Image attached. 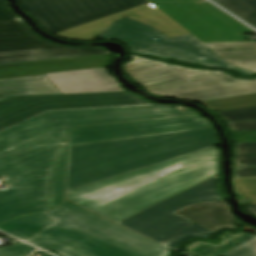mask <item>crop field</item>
I'll return each instance as SVG.
<instances>
[{
	"label": "crop field",
	"mask_w": 256,
	"mask_h": 256,
	"mask_svg": "<svg viewBox=\"0 0 256 256\" xmlns=\"http://www.w3.org/2000/svg\"><path fill=\"white\" fill-rule=\"evenodd\" d=\"M196 115L166 105L48 111L0 132V223L50 209L49 184L68 127Z\"/></svg>",
	"instance_id": "1"
},
{
	"label": "crop field",
	"mask_w": 256,
	"mask_h": 256,
	"mask_svg": "<svg viewBox=\"0 0 256 256\" xmlns=\"http://www.w3.org/2000/svg\"><path fill=\"white\" fill-rule=\"evenodd\" d=\"M218 174L217 146L69 191L68 200L119 223Z\"/></svg>",
	"instance_id": "2"
},
{
	"label": "crop field",
	"mask_w": 256,
	"mask_h": 256,
	"mask_svg": "<svg viewBox=\"0 0 256 256\" xmlns=\"http://www.w3.org/2000/svg\"><path fill=\"white\" fill-rule=\"evenodd\" d=\"M217 145L214 128L74 145L66 191Z\"/></svg>",
	"instance_id": "3"
},
{
	"label": "crop field",
	"mask_w": 256,
	"mask_h": 256,
	"mask_svg": "<svg viewBox=\"0 0 256 256\" xmlns=\"http://www.w3.org/2000/svg\"><path fill=\"white\" fill-rule=\"evenodd\" d=\"M55 222L27 242L62 256H168L169 250L69 202L46 212Z\"/></svg>",
	"instance_id": "4"
},
{
	"label": "crop field",
	"mask_w": 256,
	"mask_h": 256,
	"mask_svg": "<svg viewBox=\"0 0 256 256\" xmlns=\"http://www.w3.org/2000/svg\"><path fill=\"white\" fill-rule=\"evenodd\" d=\"M210 127L203 117L190 116L69 128L50 185L51 208L66 202L64 197L70 145Z\"/></svg>",
	"instance_id": "5"
},
{
	"label": "crop field",
	"mask_w": 256,
	"mask_h": 256,
	"mask_svg": "<svg viewBox=\"0 0 256 256\" xmlns=\"http://www.w3.org/2000/svg\"><path fill=\"white\" fill-rule=\"evenodd\" d=\"M153 27L124 18L112 23L99 36V39L118 40L137 53L163 58L170 57L180 62L197 63L244 75L254 74L246 70L235 69L215 52L206 51L208 48L191 34L169 39ZM154 38L158 40L155 41Z\"/></svg>",
	"instance_id": "6"
},
{
	"label": "crop field",
	"mask_w": 256,
	"mask_h": 256,
	"mask_svg": "<svg viewBox=\"0 0 256 256\" xmlns=\"http://www.w3.org/2000/svg\"><path fill=\"white\" fill-rule=\"evenodd\" d=\"M0 0V65L109 54L102 48L76 49L37 38Z\"/></svg>",
	"instance_id": "7"
},
{
	"label": "crop field",
	"mask_w": 256,
	"mask_h": 256,
	"mask_svg": "<svg viewBox=\"0 0 256 256\" xmlns=\"http://www.w3.org/2000/svg\"><path fill=\"white\" fill-rule=\"evenodd\" d=\"M3 99L4 102H0V131L48 110L151 104L130 92Z\"/></svg>",
	"instance_id": "8"
},
{
	"label": "crop field",
	"mask_w": 256,
	"mask_h": 256,
	"mask_svg": "<svg viewBox=\"0 0 256 256\" xmlns=\"http://www.w3.org/2000/svg\"><path fill=\"white\" fill-rule=\"evenodd\" d=\"M51 34L129 9L146 0H20Z\"/></svg>",
	"instance_id": "9"
},
{
	"label": "crop field",
	"mask_w": 256,
	"mask_h": 256,
	"mask_svg": "<svg viewBox=\"0 0 256 256\" xmlns=\"http://www.w3.org/2000/svg\"><path fill=\"white\" fill-rule=\"evenodd\" d=\"M218 179L216 176L119 224L163 244L189 223L172 212L193 203L224 200L217 190Z\"/></svg>",
	"instance_id": "10"
},
{
	"label": "crop field",
	"mask_w": 256,
	"mask_h": 256,
	"mask_svg": "<svg viewBox=\"0 0 256 256\" xmlns=\"http://www.w3.org/2000/svg\"><path fill=\"white\" fill-rule=\"evenodd\" d=\"M153 5L202 43L245 41L243 33H255L207 2Z\"/></svg>",
	"instance_id": "11"
},
{
	"label": "crop field",
	"mask_w": 256,
	"mask_h": 256,
	"mask_svg": "<svg viewBox=\"0 0 256 256\" xmlns=\"http://www.w3.org/2000/svg\"><path fill=\"white\" fill-rule=\"evenodd\" d=\"M256 93V79H236L226 73L194 78L192 82L152 92L175 99L200 102L237 95Z\"/></svg>",
	"instance_id": "12"
},
{
	"label": "crop field",
	"mask_w": 256,
	"mask_h": 256,
	"mask_svg": "<svg viewBox=\"0 0 256 256\" xmlns=\"http://www.w3.org/2000/svg\"><path fill=\"white\" fill-rule=\"evenodd\" d=\"M124 17L154 26L169 38L188 34L186 30L148 3L54 35L70 40H95L113 21Z\"/></svg>",
	"instance_id": "13"
},
{
	"label": "crop field",
	"mask_w": 256,
	"mask_h": 256,
	"mask_svg": "<svg viewBox=\"0 0 256 256\" xmlns=\"http://www.w3.org/2000/svg\"><path fill=\"white\" fill-rule=\"evenodd\" d=\"M130 56L134 58L133 61L124 64L127 74L142 84L149 92L190 82V78L222 73L188 69L178 65Z\"/></svg>",
	"instance_id": "14"
},
{
	"label": "crop field",
	"mask_w": 256,
	"mask_h": 256,
	"mask_svg": "<svg viewBox=\"0 0 256 256\" xmlns=\"http://www.w3.org/2000/svg\"><path fill=\"white\" fill-rule=\"evenodd\" d=\"M46 76L62 94L125 91L106 68L50 73Z\"/></svg>",
	"instance_id": "15"
},
{
	"label": "crop field",
	"mask_w": 256,
	"mask_h": 256,
	"mask_svg": "<svg viewBox=\"0 0 256 256\" xmlns=\"http://www.w3.org/2000/svg\"><path fill=\"white\" fill-rule=\"evenodd\" d=\"M110 55L0 66V78L106 67Z\"/></svg>",
	"instance_id": "16"
},
{
	"label": "crop field",
	"mask_w": 256,
	"mask_h": 256,
	"mask_svg": "<svg viewBox=\"0 0 256 256\" xmlns=\"http://www.w3.org/2000/svg\"><path fill=\"white\" fill-rule=\"evenodd\" d=\"M174 213L213 232L223 228L237 229V226L242 225L231 215L225 201L193 204Z\"/></svg>",
	"instance_id": "17"
},
{
	"label": "crop field",
	"mask_w": 256,
	"mask_h": 256,
	"mask_svg": "<svg viewBox=\"0 0 256 256\" xmlns=\"http://www.w3.org/2000/svg\"><path fill=\"white\" fill-rule=\"evenodd\" d=\"M50 81L46 76L0 80V101L2 97L61 94Z\"/></svg>",
	"instance_id": "18"
},
{
	"label": "crop field",
	"mask_w": 256,
	"mask_h": 256,
	"mask_svg": "<svg viewBox=\"0 0 256 256\" xmlns=\"http://www.w3.org/2000/svg\"><path fill=\"white\" fill-rule=\"evenodd\" d=\"M207 46L236 67L256 72V43L207 44ZM226 49L235 51L223 52Z\"/></svg>",
	"instance_id": "19"
},
{
	"label": "crop field",
	"mask_w": 256,
	"mask_h": 256,
	"mask_svg": "<svg viewBox=\"0 0 256 256\" xmlns=\"http://www.w3.org/2000/svg\"><path fill=\"white\" fill-rule=\"evenodd\" d=\"M252 236L241 232L234 235L225 232L218 242L197 241L186 245L185 250L193 256H221Z\"/></svg>",
	"instance_id": "20"
},
{
	"label": "crop field",
	"mask_w": 256,
	"mask_h": 256,
	"mask_svg": "<svg viewBox=\"0 0 256 256\" xmlns=\"http://www.w3.org/2000/svg\"><path fill=\"white\" fill-rule=\"evenodd\" d=\"M52 222L47 215L40 213L17 218L0 226V230L26 241Z\"/></svg>",
	"instance_id": "21"
},
{
	"label": "crop field",
	"mask_w": 256,
	"mask_h": 256,
	"mask_svg": "<svg viewBox=\"0 0 256 256\" xmlns=\"http://www.w3.org/2000/svg\"><path fill=\"white\" fill-rule=\"evenodd\" d=\"M234 159L244 165L236 169L235 177L256 176V143H235Z\"/></svg>",
	"instance_id": "22"
},
{
	"label": "crop field",
	"mask_w": 256,
	"mask_h": 256,
	"mask_svg": "<svg viewBox=\"0 0 256 256\" xmlns=\"http://www.w3.org/2000/svg\"><path fill=\"white\" fill-rule=\"evenodd\" d=\"M200 104L212 109L213 111L256 107V94L200 102Z\"/></svg>",
	"instance_id": "23"
},
{
	"label": "crop field",
	"mask_w": 256,
	"mask_h": 256,
	"mask_svg": "<svg viewBox=\"0 0 256 256\" xmlns=\"http://www.w3.org/2000/svg\"><path fill=\"white\" fill-rule=\"evenodd\" d=\"M241 18L256 26V0H215Z\"/></svg>",
	"instance_id": "24"
},
{
	"label": "crop field",
	"mask_w": 256,
	"mask_h": 256,
	"mask_svg": "<svg viewBox=\"0 0 256 256\" xmlns=\"http://www.w3.org/2000/svg\"><path fill=\"white\" fill-rule=\"evenodd\" d=\"M210 232L194 223H190L184 230H182L175 238H173L166 246L176 249L181 243H184L192 238L207 239L213 236Z\"/></svg>",
	"instance_id": "25"
},
{
	"label": "crop field",
	"mask_w": 256,
	"mask_h": 256,
	"mask_svg": "<svg viewBox=\"0 0 256 256\" xmlns=\"http://www.w3.org/2000/svg\"><path fill=\"white\" fill-rule=\"evenodd\" d=\"M227 122L256 120V108L216 112Z\"/></svg>",
	"instance_id": "26"
},
{
	"label": "crop field",
	"mask_w": 256,
	"mask_h": 256,
	"mask_svg": "<svg viewBox=\"0 0 256 256\" xmlns=\"http://www.w3.org/2000/svg\"><path fill=\"white\" fill-rule=\"evenodd\" d=\"M235 184L242 196L249 198L251 204H256V179H237Z\"/></svg>",
	"instance_id": "27"
},
{
	"label": "crop field",
	"mask_w": 256,
	"mask_h": 256,
	"mask_svg": "<svg viewBox=\"0 0 256 256\" xmlns=\"http://www.w3.org/2000/svg\"><path fill=\"white\" fill-rule=\"evenodd\" d=\"M34 249L32 246L20 242L0 247V256H27Z\"/></svg>",
	"instance_id": "28"
},
{
	"label": "crop field",
	"mask_w": 256,
	"mask_h": 256,
	"mask_svg": "<svg viewBox=\"0 0 256 256\" xmlns=\"http://www.w3.org/2000/svg\"><path fill=\"white\" fill-rule=\"evenodd\" d=\"M225 256H256V237Z\"/></svg>",
	"instance_id": "29"
},
{
	"label": "crop field",
	"mask_w": 256,
	"mask_h": 256,
	"mask_svg": "<svg viewBox=\"0 0 256 256\" xmlns=\"http://www.w3.org/2000/svg\"><path fill=\"white\" fill-rule=\"evenodd\" d=\"M232 131L256 130V121L227 123Z\"/></svg>",
	"instance_id": "30"
},
{
	"label": "crop field",
	"mask_w": 256,
	"mask_h": 256,
	"mask_svg": "<svg viewBox=\"0 0 256 256\" xmlns=\"http://www.w3.org/2000/svg\"><path fill=\"white\" fill-rule=\"evenodd\" d=\"M149 2H161V1H202V0H148Z\"/></svg>",
	"instance_id": "31"
}]
</instances>
